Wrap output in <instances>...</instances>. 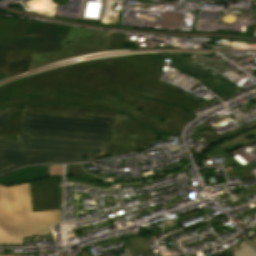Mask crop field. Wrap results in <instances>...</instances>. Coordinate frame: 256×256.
I'll return each instance as SVG.
<instances>
[{"label": "crop field", "instance_id": "8", "mask_svg": "<svg viewBox=\"0 0 256 256\" xmlns=\"http://www.w3.org/2000/svg\"><path fill=\"white\" fill-rule=\"evenodd\" d=\"M48 177V166L27 167L0 177V184L13 185Z\"/></svg>", "mask_w": 256, "mask_h": 256}, {"label": "crop field", "instance_id": "2", "mask_svg": "<svg viewBox=\"0 0 256 256\" xmlns=\"http://www.w3.org/2000/svg\"><path fill=\"white\" fill-rule=\"evenodd\" d=\"M113 120L22 114L17 141L0 142V174L23 165L71 163L106 155Z\"/></svg>", "mask_w": 256, "mask_h": 256}, {"label": "crop field", "instance_id": "7", "mask_svg": "<svg viewBox=\"0 0 256 256\" xmlns=\"http://www.w3.org/2000/svg\"><path fill=\"white\" fill-rule=\"evenodd\" d=\"M33 212L59 209V177L31 181Z\"/></svg>", "mask_w": 256, "mask_h": 256}, {"label": "crop field", "instance_id": "3", "mask_svg": "<svg viewBox=\"0 0 256 256\" xmlns=\"http://www.w3.org/2000/svg\"><path fill=\"white\" fill-rule=\"evenodd\" d=\"M60 223L59 210L32 213L29 182L0 185V245H23V238L51 234Z\"/></svg>", "mask_w": 256, "mask_h": 256}, {"label": "crop field", "instance_id": "1", "mask_svg": "<svg viewBox=\"0 0 256 256\" xmlns=\"http://www.w3.org/2000/svg\"><path fill=\"white\" fill-rule=\"evenodd\" d=\"M159 55L101 59L16 80L8 101H0V116L8 112L10 121L0 136L25 135L21 113L110 117L107 154L149 148L155 131L179 132L202 106L158 81L164 62Z\"/></svg>", "mask_w": 256, "mask_h": 256}, {"label": "crop field", "instance_id": "6", "mask_svg": "<svg viewBox=\"0 0 256 256\" xmlns=\"http://www.w3.org/2000/svg\"><path fill=\"white\" fill-rule=\"evenodd\" d=\"M192 56L193 54H161L160 59L176 60V62L171 63L170 67L188 71L198 76L196 79L207 85L209 88L215 90L223 96L228 95L230 98L235 99L231 93L238 90L239 88L230 84L221 77L210 74L198 67L188 65L187 63Z\"/></svg>", "mask_w": 256, "mask_h": 256}, {"label": "crop field", "instance_id": "10", "mask_svg": "<svg viewBox=\"0 0 256 256\" xmlns=\"http://www.w3.org/2000/svg\"><path fill=\"white\" fill-rule=\"evenodd\" d=\"M256 143V128L241 135L233 137L225 142L219 143L228 152L242 146Z\"/></svg>", "mask_w": 256, "mask_h": 256}, {"label": "crop field", "instance_id": "16", "mask_svg": "<svg viewBox=\"0 0 256 256\" xmlns=\"http://www.w3.org/2000/svg\"><path fill=\"white\" fill-rule=\"evenodd\" d=\"M239 174H241L243 180H249V179L255 178V176L248 169L237 171V173H233V174H227V176L233 177V176H237Z\"/></svg>", "mask_w": 256, "mask_h": 256}, {"label": "crop field", "instance_id": "15", "mask_svg": "<svg viewBox=\"0 0 256 256\" xmlns=\"http://www.w3.org/2000/svg\"><path fill=\"white\" fill-rule=\"evenodd\" d=\"M13 82L0 87V100H7L8 99V95L10 93Z\"/></svg>", "mask_w": 256, "mask_h": 256}, {"label": "crop field", "instance_id": "19", "mask_svg": "<svg viewBox=\"0 0 256 256\" xmlns=\"http://www.w3.org/2000/svg\"><path fill=\"white\" fill-rule=\"evenodd\" d=\"M81 254H82V256H88L87 252H83Z\"/></svg>", "mask_w": 256, "mask_h": 256}, {"label": "crop field", "instance_id": "14", "mask_svg": "<svg viewBox=\"0 0 256 256\" xmlns=\"http://www.w3.org/2000/svg\"><path fill=\"white\" fill-rule=\"evenodd\" d=\"M124 35L125 34L113 32L108 50H120L122 47Z\"/></svg>", "mask_w": 256, "mask_h": 256}, {"label": "crop field", "instance_id": "13", "mask_svg": "<svg viewBox=\"0 0 256 256\" xmlns=\"http://www.w3.org/2000/svg\"><path fill=\"white\" fill-rule=\"evenodd\" d=\"M240 248L234 252L235 256H256V247L251 245L247 240L239 243Z\"/></svg>", "mask_w": 256, "mask_h": 256}, {"label": "crop field", "instance_id": "18", "mask_svg": "<svg viewBox=\"0 0 256 256\" xmlns=\"http://www.w3.org/2000/svg\"><path fill=\"white\" fill-rule=\"evenodd\" d=\"M2 128H9V122H8V114L2 113V117L0 119V129Z\"/></svg>", "mask_w": 256, "mask_h": 256}, {"label": "crop field", "instance_id": "4", "mask_svg": "<svg viewBox=\"0 0 256 256\" xmlns=\"http://www.w3.org/2000/svg\"><path fill=\"white\" fill-rule=\"evenodd\" d=\"M71 26L31 21L24 35H13V45L0 46V73L5 77L25 73L34 53L62 50Z\"/></svg>", "mask_w": 256, "mask_h": 256}, {"label": "crop field", "instance_id": "5", "mask_svg": "<svg viewBox=\"0 0 256 256\" xmlns=\"http://www.w3.org/2000/svg\"><path fill=\"white\" fill-rule=\"evenodd\" d=\"M112 32L71 27L63 51L32 55L30 71L71 57L107 51Z\"/></svg>", "mask_w": 256, "mask_h": 256}, {"label": "crop field", "instance_id": "21", "mask_svg": "<svg viewBox=\"0 0 256 256\" xmlns=\"http://www.w3.org/2000/svg\"><path fill=\"white\" fill-rule=\"evenodd\" d=\"M0 256H13V255H0Z\"/></svg>", "mask_w": 256, "mask_h": 256}, {"label": "crop field", "instance_id": "20", "mask_svg": "<svg viewBox=\"0 0 256 256\" xmlns=\"http://www.w3.org/2000/svg\"><path fill=\"white\" fill-rule=\"evenodd\" d=\"M251 242H253V243L256 245V239H255V240H253V241H251Z\"/></svg>", "mask_w": 256, "mask_h": 256}, {"label": "crop field", "instance_id": "17", "mask_svg": "<svg viewBox=\"0 0 256 256\" xmlns=\"http://www.w3.org/2000/svg\"><path fill=\"white\" fill-rule=\"evenodd\" d=\"M62 176V169L60 166H50V177Z\"/></svg>", "mask_w": 256, "mask_h": 256}, {"label": "crop field", "instance_id": "11", "mask_svg": "<svg viewBox=\"0 0 256 256\" xmlns=\"http://www.w3.org/2000/svg\"><path fill=\"white\" fill-rule=\"evenodd\" d=\"M243 132L245 131L239 128L221 135H219L217 132H200V133H197V136L199 140L203 138L206 143L213 146L219 142L225 141Z\"/></svg>", "mask_w": 256, "mask_h": 256}, {"label": "crop field", "instance_id": "12", "mask_svg": "<svg viewBox=\"0 0 256 256\" xmlns=\"http://www.w3.org/2000/svg\"><path fill=\"white\" fill-rule=\"evenodd\" d=\"M135 237L136 238L122 240L131 256L140 254L142 252L145 253L144 251L150 250V247L144 237H141L140 235ZM134 247H136V249H134Z\"/></svg>", "mask_w": 256, "mask_h": 256}, {"label": "crop field", "instance_id": "9", "mask_svg": "<svg viewBox=\"0 0 256 256\" xmlns=\"http://www.w3.org/2000/svg\"><path fill=\"white\" fill-rule=\"evenodd\" d=\"M29 22L0 19V45L12 44V34H23Z\"/></svg>", "mask_w": 256, "mask_h": 256}]
</instances>
